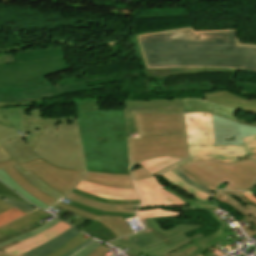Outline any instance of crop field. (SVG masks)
Instances as JSON below:
<instances>
[{
	"mask_svg": "<svg viewBox=\"0 0 256 256\" xmlns=\"http://www.w3.org/2000/svg\"><path fill=\"white\" fill-rule=\"evenodd\" d=\"M143 68L220 67L256 72V45L239 44L235 29L193 26L133 34Z\"/></svg>",
	"mask_w": 256,
	"mask_h": 256,
	"instance_id": "1",
	"label": "crop field"
},
{
	"mask_svg": "<svg viewBox=\"0 0 256 256\" xmlns=\"http://www.w3.org/2000/svg\"><path fill=\"white\" fill-rule=\"evenodd\" d=\"M88 171L130 174L123 110L77 114Z\"/></svg>",
	"mask_w": 256,
	"mask_h": 256,
	"instance_id": "2",
	"label": "crop field"
},
{
	"mask_svg": "<svg viewBox=\"0 0 256 256\" xmlns=\"http://www.w3.org/2000/svg\"><path fill=\"white\" fill-rule=\"evenodd\" d=\"M32 151L53 166L87 171L77 125L47 126Z\"/></svg>",
	"mask_w": 256,
	"mask_h": 256,
	"instance_id": "3",
	"label": "crop field"
},
{
	"mask_svg": "<svg viewBox=\"0 0 256 256\" xmlns=\"http://www.w3.org/2000/svg\"><path fill=\"white\" fill-rule=\"evenodd\" d=\"M199 181L217 188L220 183L224 189L248 191L256 187V162L252 159L230 164L216 159L189 162L182 165Z\"/></svg>",
	"mask_w": 256,
	"mask_h": 256,
	"instance_id": "4",
	"label": "crop field"
},
{
	"mask_svg": "<svg viewBox=\"0 0 256 256\" xmlns=\"http://www.w3.org/2000/svg\"><path fill=\"white\" fill-rule=\"evenodd\" d=\"M190 161L216 158L226 163L246 156L243 146H214L211 114H184Z\"/></svg>",
	"mask_w": 256,
	"mask_h": 256,
	"instance_id": "5",
	"label": "crop field"
},
{
	"mask_svg": "<svg viewBox=\"0 0 256 256\" xmlns=\"http://www.w3.org/2000/svg\"><path fill=\"white\" fill-rule=\"evenodd\" d=\"M140 220L146 229L127 237L150 256H162L168 251L189 242L191 239L202 237L199 234L188 239L183 234L200 226L178 225L163 232L153 218Z\"/></svg>",
	"mask_w": 256,
	"mask_h": 256,
	"instance_id": "6",
	"label": "crop field"
},
{
	"mask_svg": "<svg viewBox=\"0 0 256 256\" xmlns=\"http://www.w3.org/2000/svg\"><path fill=\"white\" fill-rule=\"evenodd\" d=\"M70 69L65 58H52L0 66V87H20L46 82L44 76Z\"/></svg>",
	"mask_w": 256,
	"mask_h": 256,
	"instance_id": "7",
	"label": "crop field"
},
{
	"mask_svg": "<svg viewBox=\"0 0 256 256\" xmlns=\"http://www.w3.org/2000/svg\"><path fill=\"white\" fill-rule=\"evenodd\" d=\"M131 166L140 161L170 156L189 161L186 134L128 138Z\"/></svg>",
	"mask_w": 256,
	"mask_h": 256,
	"instance_id": "8",
	"label": "crop field"
},
{
	"mask_svg": "<svg viewBox=\"0 0 256 256\" xmlns=\"http://www.w3.org/2000/svg\"><path fill=\"white\" fill-rule=\"evenodd\" d=\"M20 88H0V102H26L32 101L34 104H44L43 99L65 95L79 90H91L104 88V85L87 87V82L69 84L59 87L58 84L52 86L49 82L40 85Z\"/></svg>",
	"mask_w": 256,
	"mask_h": 256,
	"instance_id": "9",
	"label": "crop field"
},
{
	"mask_svg": "<svg viewBox=\"0 0 256 256\" xmlns=\"http://www.w3.org/2000/svg\"><path fill=\"white\" fill-rule=\"evenodd\" d=\"M20 166L25 171L31 170L46 185L65 195L81 181L85 174L84 171H72L53 167L40 158Z\"/></svg>",
	"mask_w": 256,
	"mask_h": 256,
	"instance_id": "10",
	"label": "crop field"
},
{
	"mask_svg": "<svg viewBox=\"0 0 256 256\" xmlns=\"http://www.w3.org/2000/svg\"><path fill=\"white\" fill-rule=\"evenodd\" d=\"M133 113L139 136L186 133L183 114Z\"/></svg>",
	"mask_w": 256,
	"mask_h": 256,
	"instance_id": "11",
	"label": "crop field"
},
{
	"mask_svg": "<svg viewBox=\"0 0 256 256\" xmlns=\"http://www.w3.org/2000/svg\"><path fill=\"white\" fill-rule=\"evenodd\" d=\"M20 112L24 124V133L20 137L31 150L46 125L77 124L75 115L42 117L41 110H31L30 107H26V111Z\"/></svg>",
	"mask_w": 256,
	"mask_h": 256,
	"instance_id": "12",
	"label": "crop field"
},
{
	"mask_svg": "<svg viewBox=\"0 0 256 256\" xmlns=\"http://www.w3.org/2000/svg\"><path fill=\"white\" fill-rule=\"evenodd\" d=\"M123 106L127 137L138 134L132 111L183 113L181 99L124 101Z\"/></svg>",
	"mask_w": 256,
	"mask_h": 256,
	"instance_id": "13",
	"label": "crop field"
},
{
	"mask_svg": "<svg viewBox=\"0 0 256 256\" xmlns=\"http://www.w3.org/2000/svg\"><path fill=\"white\" fill-rule=\"evenodd\" d=\"M212 123L215 145H244L242 138L256 134V127L236 124L213 114Z\"/></svg>",
	"mask_w": 256,
	"mask_h": 256,
	"instance_id": "14",
	"label": "crop field"
},
{
	"mask_svg": "<svg viewBox=\"0 0 256 256\" xmlns=\"http://www.w3.org/2000/svg\"><path fill=\"white\" fill-rule=\"evenodd\" d=\"M134 182L142 200V205L140 207L151 205H186V203L178 197L163 190L162 188H164V186L159 185L154 177H150L145 180H136Z\"/></svg>",
	"mask_w": 256,
	"mask_h": 256,
	"instance_id": "15",
	"label": "crop field"
},
{
	"mask_svg": "<svg viewBox=\"0 0 256 256\" xmlns=\"http://www.w3.org/2000/svg\"><path fill=\"white\" fill-rule=\"evenodd\" d=\"M182 103L184 113L209 112L237 123L235 116L239 110L233 109L231 107L206 101L203 98H185L182 99Z\"/></svg>",
	"mask_w": 256,
	"mask_h": 256,
	"instance_id": "16",
	"label": "crop field"
},
{
	"mask_svg": "<svg viewBox=\"0 0 256 256\" xmlns=\"http://www.w3.org/2000/svg\"><path fill=\"white\" fill-rule=\"evenodd\" d=\"M55 206L61 207L69 212L75 213L77 215L83 216L87 219H90L92 221L97 220L100 222L102 225L108 227L118 238L132 233L131 228L128 226V224L125 222L123 217H118V216H110V215H104L97 217L95 215H92L90 213H87L85 211L73 208L71 206L62 204V203H57Z\"/></svg>",
	"mask_w": 256,
	"mask_h": 256,
	"instance_id": "17",
	"label": "crop field"
},
{
	"mask_svg": "<svg viewBox=\"0 0 256 256\" xmlns=\"http://www.w3.org/2000/svg\"><path fill=\"white\" fill-rule=\"evenodd\" d=\"M72 228L71 226L67 225L64 222H59L57 225L49 229L48 231L37 235L33 238H30L28 240L22 241L16 245H13L9 248L4 249L7 253L13 254V255H21L22 253L35 248L41 244H44L56 237H58L60 234L65 232L66 230Z\"/></svg>",
	"mask_w": 256,
	"mask_h": 256,
	"instance_id": "18",
	"label": "crop field"
},
{
	"mask_svg": "<svg viewBox=\"0 0 256 256\" xmlns=\"http://www.w3.org/2000/svg\"><path fill=\"white\" fill-rule=\"evenodd\" d=\"M76 189L100 198L113 200H140L136 190L109 188L82 181Z\"/></svg>",
	"mask_w": 256,
	"mask_h": 256,
	"instance_id": "19",
	"label": "crop field"
},
{
	"mask_svg": "<svg viewBox=\"0 0 256 256\" xmlns=\"http://www.w3.org/2000/svg\"><path fill=\"white\" fill-rule=\"evenodd\" d=\"M205 99L256 114V99L239 97L227 91H212L205 94Z\"/></svg>",
	"mask_w": 256,
	"mask_h": 256,
	"instance_id": "20",
	"label": "crop field"
},
{
	"mask_svg": "<svg viewBox=\"0 0 256 256\" xmlns=\"http://www.w3.org/2000/svg\"><path fill=\"white\" fill-rule=\"evenodd\" d=\"M17 165V163L12 160V161H7V162H1L0 163V168H3L9 175L10 177L17 183L19 184L23 189H25L28 193L31 195L35 196L42 202L46 203L47 205H53L55 204L56 200L48 197L45 195L43 192L32 186L13 166Z\"/></svg>",
	"mask_w": 256,
	"mask_h": 256,
	"instance_id": "21",
	"label": "crop field"
},
{
	"mask_svg": "<svg viewBox=\"0 0 256 256\" xmlns=\"http://www.w3.org/2000/svg\"><path fill=\"white\" fill-rule=\"evenodd\" d=\"M0 146L18 163H24L38 158L17 136L11 140L0 143Z\"/></svg>",
	"mask_w": 256,
	"mask_h": 256,
	"instance_id": "22",
	"label": "crop field"
},
{
	"mask_svg": "<svg viewBox=\"0 0 256 256\" xmlns=\"http://www.w3.org/2000/svg\"><path fill=\"white\" fill-rule=\"evenodd\" d=\"M83 180L104 186L135 189L130 175H110L87 172Z\"/></svg>",
	"mask_w": 256,
	"mask_h": 256,
	"instance_id": "23",
	"label": "crop field"
},
{
	"mask_svg": "<svg viewBox=\"0 0 256 256\" xmlns=\"http://www.w3.org/2000/svg\"><path fill=\"white\" fill-rule=\"evenodd\" d=\"M65 198L71 199L73 201L88 205L90 207L103 210V211H113V212H126V213H135V210L139 206L137 205H111V204H106V203H100L96 202L84 197H81L79 195L69 193L68 195L65 196Z\"/></svg>",
	"mask_w": 256,
	"mask_h": 256,
	"instance_id": "24",
	"label": "crop field"
},
{
	"mask_svg": "<svg viewBox=\"0 0 256 256\" xmlns=\"http://www.w3.org/2000/svg\"><path fill=\"white\" fill-rule=\"evenodd\" d=\"M78 233H80L78 230L72 228L66 231L65 233H63L61 236H59L55 240L48 242L44 245H41L21 256H45L51 253L52 251H54L55 249H57L58 247H60L61 245H63L65 242L73 238Z\"/></svg>",
	"mask_w": 256,
	"mask_h": 256,
	"instance_id": "25",
	"label": "crop field"
},
{
	"mask_svg": "<svg viewBox=\"0 0 256 256\" xmlns=\"http://www.w3.org/2000/svg\"><path fill=\"white\" fill-rule=\"evenodd\" d=\"M144 71L147 75V78L178 75V74H188V73H198V72H210V71L234 72V74L236 72L234 70L220 69V68L146 69ZM234 74L231 80H233Z\"/></svg>",
	"mask_w": 256,
	"mask_h": 256,
	"instance_id": "26",
	"label": "crop field"
},
{
	"mask_svg": "<svg viewBox=\"0 0 256 256\" xmlns=\"http://www.w3.org/2000/svg\"><path fill=\"white\" fill-rule=\"evenodd\" d=\"M49 214L41 211V210H35L11 223H8L6 225L0 226V237L15 231L19 228H22L24 226H27L31 223H34L36 221H39L43 219L44 217L48 216Z\"/></svg>",
	"mask_w": 256,
	"mask_h": 256,
	"instance_id": "27",
	"label": "crop field"
},
{
	"mask_svg": "<svg viewBox=\"0 0 256 256\" xmlns=\"http://www.w3.org/2000/svg\"><path fill=\"white\" fill-rule=\"evenodd\" d=\"M0 180H2L4 183H6L8 186H10L12 189H14L16 192H18L21 196H23L25 199H27L29 202H31L33 205L46 210L50 208L46 204L42 203L35 197L28 194L26 191H24L20 186H18L9 176L8 174L3 170L0 169Z\"/></svg>",
	"mask_w": 256,
	"mask_h": 256,
	"instance_id": "28",
	"label": "crop field"
},
{
	"mask_svg": "<svg viewBox=\"0 0 256 256\" xmlns=\"http://www.w3.org/2000/svg\"><path fill=\"white\" fill-rule=\"evenodd\" d=\"M15 168L35 187L46 193L47 195L55 198L61 199L64 195L59 192L47 187L36 175H34L31 171L25 172L19 165L15 166Z\"/></svg>",
	"mask_w": 256,
	"mask_h": 256,
	"instance_id": "29",
	"label": "crop field"
},
{
	"mask_svg": "<svg viewBox=\"0 0 256 256\" xmlns=\"http://www.w3.org/2000/svg\"><path fill=\"white\" fill-rule=\"evenodd\" d=\"M182 159H176V158H169V157H162V158H155L151 160H147L144 162L139 163L143 168L150 171L152 174L161 171L179 161Z\"/></svg>",
	"mask_w": 256,
	"mask_h": 256,
	"instance_id": "30",
	"label": "crop field"
},
{
	"mask_svg": "<svg viewBox=\"0 0 256 256\" xmlns=\"http://www.w3.org/2000/svg\"><path fill=\"white\" fill-rule=\"evenodd\" d=\"M18 62L64 56L61 49L16 53Z\"/></svg>",
	"mask_w": 256,
	"mask_h": 256,
	"instance_id": "31",
	"label": "crop field"
},
{
	"mask_svg": "<svg viewBox=\"0 0 256 256\" xmlns=\"http://www.w3.org/2000/svg\"><path fill=\"white\" fill-rule=\"evenodd\" d=\"M165 178H167L169 181H171L174 185L180 187L181 189L185 190L186 192L194 195L196 198L201 200H207L212 198L211 195L204 193L202 191H199L192 186L186 184L182 180H180L178 177H176L171 171L162 174Z\"/></svg>",
	"mask_w": 256,
	"mask_h": 256,
	"instance_id": "32",
	"label": "crop field"
},
{
	"mask_svg": "<svg viewBox=\"0 0 256 256\" xmlns=\"http://www.w3.org/2000/svg\"><path fill=\"white\" fill-rule=\"evenodd\" d=\"M82 231L86 232L87 234L96 237L98 239H101L105 242L117 239L113 233L109 231L106 227L102 226L98 222H93L89 226H87L85 229Z\"/></svg>",
	"mask_w": 256,
	"mask_h": 256,
	"instance_id": "33",
	"label": "crop field"
},
{
	"mask_svg": "<svg viewBox=\"0 0 256 256\" xmlns=\"http://www.w3.org/2000/svg\"><path fill=\"white\" fill-rule=\"evenodd\" d=\"M19 110H25V108L10 107L9 109H0V112L8 119L17 131L23 133V125Z\"/></svg>",
	"mask_w": 256,
	"mask_h": 256,
	"instance_id": "34",
	"label": "crop field"
},
{
	"mask_svg": "<svg viewBox=\"0 0 256 256\" xmlns=\"http://www.w3.org/2000/svg\"><path fill=\"white\" fill-rule=\"evenodd\" d=\"M60 220H58V219H53V220H51L50 222H48L47 224H45V225H43V226H41V227H39V228H36V229H34V230H32V231H30V232H28V233H25V234H22V235H20V236H17V237H15V238H12V239H10V240H8V241H5V242H3V243H1L0 244V247L1 246H3V245H5V244H8V243H10V242H13V241H15V240H17V241H22V240H25V239H27V238H30V237H33V236H35V235H37V234H40V233H42V232H44V231H46V230H48L49 228H51L52 226H54L56 223H58Z\"/></svg>",
	"mask_w": 256,
	"mask_h": 256,
	"instance_id": "35",
	"label": "crop field"
},
{
	"mask_svg": "<svg viewBox=\"0 0 256 256\" xmlns=\"http://www.w3.org/2000/svg\"><path fill=\"white\" fill-rule=\"evenodd\" d=\"M83 235L84 234L82 233L78 234L76 237H74L66 244H64L63 246H61L60 248H58L57 250H55L54 252L47 256H63L64 254H66L67 252H69L70 250H72L73 248H75L76 246H78L79 244L88 239L83 238Z\"/></svg>",
	"mask_w": 256,
	"mask_h": 256,
	"instance_id": "36",
	"label": "crop field"
},
{
	"mask_svg": "<svg viewBox=\"0 0 256 256\" xmlns=\"http://www.w3.org/2000/svg\"><path fill=\"white\" fill-rule=\"evenodd\" d=\"M73 103L77 106V113L91 111V110H100L98 97L95 99L85 98L83 100H73Z\"/></svg>",
	"mask_w": 256,
	"mask_h": 256,
	"instance_id": "37",
	"label": "crop field"
},
{
	"mask_svg": "<svg viewBox=\"0 0 256 256\" xmlns=\"http://www.w3.org/2000/svg\"><path fill=\"white\" fill-rule=\"evenodd\" d=\"M65 204H67V203H65ZM68 205H71V206H74V207H76V208L85 210V211L90 212V213H92V214H95V215H97V216L104 215V214H110V215L123 216L124 219L132 218V217H135V216H136L135 214L103 212V211H99V210L90 208V207H88V206H85V205H82V204H79V203H76V202H73V201H70V203H69Z\"/></svg>",
	"mask_w": 256,
	"mask_h": 256,
	"instance_id": "38",
	"label": "crop field"
},
{
	"mask_svg": "<svg viewBox=\"0 0 256 256\" xmlns=\"http://www.w3.org/2000/svg\"><path fill=\"white\" fill-rule=\"evenodd\" d=\"M182 213L164 211L162 209L148 210V211H137L138 218L143 217H163V216H177L181 217Z\"/></svg>",
	"mask_w": 256,
	"mask_h": 256,
	"instance_id": "39",
	"label": "crop field"
},
{
	"mask_svg": "<svg viewBox=\"0 0 256 256\" xmlns=\"http://www.w3.org/2000/svg\"><path fill=\"white\" fill-rule=\"evenodd\" d=\"M199 249L196 247L192 242H189L164 256H190L189 254L194 252L195 250Z\"/></svg>",
	"mask_w": 256,
	"mask_h": 256,
	"instance_id": "40",
	"label": "crop field"
},
{
	"mask_svg": "<svg viewBox=\"0 0 256 256\" xmlns=\"http://www.w3.org/2000/svg\"><path fill=\"white\" fill-rule=\"evenodd\" d=\"M24 214H26V213H24L16 208H12V209L0 214V225L6 224Z\"/></svg>",
	"mask_w": 256,
	"mask_h": 256,
	"instance_id": "41",
	"label": "crop field"
},
{
	"mask_svg": "<svg viewBox=\"0 0 256 256\" xmlns=\"http://www.w3.org/2000/svg\"><path fill=\"white\" fill-rule=\"evenodd\" d=\"M72 192H74L76 194H79L81 196L96 200V201L112 203V204H137V203H140V201H112V200L100 199V198H96L94 196H91L89 194H86L84 192L78 191L76 189H73Z\"/></svg>",
	"mask_w": 256,
	"mask_h": 256,
	"instance_id": "42",
	"label": "crop field"
},
{
	"mask_svg": "<svg viewBox=\"0 0 256 256\" xmlns=\"http://www.w3.org/2000/svg\"><path fill=\"white\" fill-rule=\"evenodd\" d=\"M234 209L237 210L242 215H244L245 218H247L253 225L256 226V212L241 204Z\"/></svg>",
	"mask_w": 256,
	"mask_h": 256,
	"instance_id": "43",
	"label": "crop field"
},
{
	"mask_svg": "<svg viewBox=\"0 0 256 256\" xmlns=\"http://www.w3.org/2000/svg\"><path fill=\"white\" fill-rule=\"evenodd\" d=\"M172 172L177 175L180 179H182L183 181H185L186 183L202 190V191H205L207 193H210L212 194L213 193V190H210V189H207V188H204L202 187L201 185L195 183L194 181L190 180L184 173H182L180 170H178L177 168L172 170Z\"/></svg>",
	"mask_w": 256,
	"mask_h": 256,
	"instance_id": "44",
	"label": "crop field"
},
{
	"mask_svg": "<svg viewBox=\"0 0 256 256\" xmlns=\"http://www.w3.org/2000/svg\"><path fill=\"white\" fill-rule=\"evenodd\" d=\"M17 135H19V133L13 127L8 128L0 124V142L13 138Z\"/></svg>",
	"mask_w": 256,
	"mask_h": 256,
	"instance_id": "45",
	"label": "crop field"
},
{
	"mask_svg": "<svg viewBox=\"0 0 256 256\" xmlns=\"http://www.w3.org/2000/svg\"><path fill=\"white\" fill-rule=\"evenodd\" d=\"M109 244H112L114 246H117V245L121 244L124 247H127L128 249H130V252H132L135 255L142 252L138 248H136L137 246L135 247L126 237L121 238V239L116 240V241H113V242H110Z\"/></svg>",
	"mask_w": 256,
	"mask_h": 256,
	"instance_id": "46",
	"label": "crop field"
},
{
	"mask_svg": "<svg viewBox=\"0 0 256 256\" xmlns=\"http://www.w3.org/2000/svg\"><path fill=\"white\" fill-rule=\"evenodd\" d=\"M184 163H187V161L184 160V161H182V162H180V163H178V164H176V165H174V166H172V167H170V168H168V169H165V170H163V171H161V172H158V173L154 174V176H155V175L162 174V173H164V172H167V171H169V170H171V169L177 167V168L180 169L182 172H184L190 179H192V180L198 182L199 184H201V185H203V186H205V187H207V188L216 190V189H214V188H212V187H210V186H208V185H205V184L199 182V181L196 180L193 176H191L185 169H183V168L180 166V165H182V164H184Z\"/></svg>",
	"mask_w": 256,
	"mask_h": 256,
	"instance_id": "47",
	"label": "crop field"
},
{
	"mask_svg": "<svg viewBox=\"0 0 256 256\" xmlns=\"http://www.w3.org/2000/svg\"><path fill=\"white\" fill-rule=\"evenodd\" d=\"M243 140H244V144L247 149L248 155L255 154L256 153V135L249 138H245Z\"/></svg>",
	"mask_w": 256,
	"mask_h": 256,
	"instance_id": "48",
	"label": "crop field"
},
{
	"mask_svg": "<svg viewBox=\"0 0 256 256\" xmlns=\"http://www.w3.org/2000/svg\"><path fill=\"white\" fill-rule=\"evenodd\" d=\"M33 105L31 102H26V103H10V104H6V103H0V108H5V107H9V106H30ZM0 123H3L9 127H11L12 125L4 118V116L0 113Z\"/></svg>",
	"mask_w": 256,
	"mask_h": 256,
	"instance_id": "49",
	"label": "crop field"
},
{
	"mask_svg": "<svg viewBox=\"0 0 256 256\" xmlns=\"http://www.w3.org/2000/svg\"><path fill=\"white\" fill-rule=\"evenodd\" d=\"M97 242L98 241L92 242L74 256H88L91 252H93L96 248L100 246V244H98Z\"/></svg>",
	"mask_w": 256,
	"mask_h": 256,
	"instance_id": "50",
	"label": "crop field"
},
{
	"mask_svg": "<svg viewBox=\"0 0 256 256\" xmlns=\"http://www.w3.org/2000/svg\"><path fill=\"white\" fill-rule=\"evenodd\" d=\"M2 200H4L5 202H7V203H9V204H11V205H13V206H15V207L25 211V212H31L32 210H34V208L29 207L27 205H24V204H22L20 202H17L15 200H11V199H2Z\"/></svg>",
	"mask_w": 256,
	"mask_h": 256,
	"instance_id": "51",
	"label": "crop field"
},
{
	"mask_svg": "<svg viewBox=\"0 0 256 256\" xmlns=\"http://www.w3.org/2000/svg\"><path fill=\"white\" fill-rule=\"evenodd\" d=\"M134 180L135 179H139V178H144V177H148V176H152V174L148 171H146L145 169L141 168L135 171L131 172Z\"/></svg>",
	"mask_w": 256,
	"mask_h": 256,
	"instance_id": "52",
	"label": "crop field"
},
{
	"mask_svg": "<svg viewBox=\"0 0 256 256\" xmlns=\"http://www.w3.org/2000/svg\"><path fill=\"white\" fill-rule=\"evenodd\" d=\"M108 251H109L108 248L101 245L98 249H96L89 256H105Z\"/></svg>",
	"mask_w": 256,
	"mask_h": 256,
	"instance_id": "53",
	"label": "crop field"
},
{
	"mask_svg": "<svg viewBox=\"0 0 256 256\" xmlns=\"http://www.w3.org/2000/svg\"><path fill=\"white\" fill-rule=\"evenodd\" d=\"M0 193L1 194H5V195H12V196H14V197H16V198H18V199H21V200H23L22 198H20L19 196H17L15 193H13L12 191H10L8 188H6L4 185H2L1 183H0Z\"/></svg>",
	"mask_w": 256,
	"mask_h": 256,
	"instance_id": "54",
	"label": "crop field"
},
{
	"mask_svg": "<svg viewBox=\"0 0 256 256\" xmlns=\"http://www.w3.org/2000/svg\"><path fill=\"white\" fill-rule=\"evenodd\" d=\"M93 240V238L88 239L87 241H85L84 243H82L81 245H79L78 247H76L75 249H73L72 251H70L69 253H67L64 256H70L73 253H75L76 251H78L79 249H81L82 247H84L86 244H88L89 242H91Z\"/></svg>",
	"mask_w": 256,
	"mask_h": 256,
	"instance_id": "55",
	"label": "crop field"
},
{
	"mask_svg": "<svg viewBox=\"0 0 256 256\" xmlns=\"http://www.w3.org/2000/svg\"><path fill=\"white\" fill-rule=\"evenodd\" d=\"M12 158L0 147V161L11 160Z\"/></svg>",
	"mask_w": 256,
	"mask_h": 256,
	"instance_id": "56",
	"label": "crop field"
},
{
	"mask_svg": "<svg viewBox=\"0 0 256 256\" xmlns=\"http://www.w3.org/2000/svg\"><path fill=\"white\" fill-rule=\"evenodd\" d=\"M237 121H238V123H240V124H246V125L256 126V122H250V121H248V120H244V119L239 118V117H237Z\"/></svg>",
	"mask_w": 256,
	"mask_h": 256,
	"instance_id": "57",
	"label": "crop field"
},
{
	"mask_svg": "<svg viewBox=\"0 0 256 256\" xmlns=\"http://www.w3.org/2000/svg\"><path fill=\"white\" fill-rule=\"evenodd\" d=\"M242 196L246 197L250 202H252L256 206V197L249 193H245Z\"/></svg>",
	"mask_w": 256,
	"mask_h": 256,
	"instance_id": "58",
	"label": "crop field"
},
{
	"mask_svg": "<svg viewBox=\"0 0 256 256\" xmlns=\"http://www.w3.org/2000/svg\"><path fill=\"white\" fill-rule=\"evenodd\" d=\"M4 203H5V202H4ZM4 203L0 201V213H2V212H4V211H6V210L12 208V207L6 205L7 203H6V204H4Z\"/></svg>",
	"mask_w": 256,
	"mask_h": 256,
	"instance_id": "59",
	"label": "crop field"
},
{
	"mask_svg": "<svg viewBox=\"0 0 256 256\" xmlns=\"http://www.w3.org/2000/svg\"><path fill=\"white\" fill-rule=\"evenodd\" d=\"M243 230L245 231V233L248 235V237L253 236L255 233L251 230V228L249 226L247 227H243Z\"/></svg>",
	"mask_w": 256,
	"mask_h": 256,
	"instance_id": "60",
	"label": "crop field"
},
{
	"mask_svg": "<svg viewBox=\"0 0 256 256\" xmlns=\"http://www.w3.org/2000/svg\"><path fill=\"white\" fill-rule=\"evenodd\" d=\"M87 219H84V218H79V219H77L76 221H74L73 223H72V225H74V226H79L80 224H82L83 222H85Z\"/></svg>",
	"mask_w": 256,
	"mask_h": 256,
	"instance_id": "61",
	"label": "crop field"
},
{
	"mask_svg": "<svg viewBox=\"0 0 256 256\" xmlns=\"http://www.w3.org/2000/svg\"><path fill=\"white\" fill-rule=\"evenodd\" d=\"M16 243H18V242L15 241V242H13V243H10V244H8V245H6V246L0 248V252L6 253V252H4L2 249L6 248V247H9V246H11V245H13V244H16Z\"/></svg>",
	"mask_w": 256,
	"mask_h": 256,
	"instance_id": "62",
	"label": "crop field"
},
{
	"mask_svg": "<svg viewBox=\"0 0 256 256\" xmlns=\"http://www.w3.org/2000/svg\"><path fill=\"white\" fill-rule=\"evenodd\" d=\"M246 206H248V207L251 208L252 210L256 211V207H255L253 204L246 205Z\"/></svg>",
	"mask_w": 256,
	"mask_h": 256,
	"instance_id": "63",
	"label": "crop field"
},
{
	"mask_svg": "<svg viewBox=\"0 0 256 256\" xmlns=\"http://www.w3.org/2000/svg\"><path fill=\"white\" fill-rule=\"evenodd\" d=\"M249 192L253 193V194H256V188L250 190Z\"/></svg>",
	"mask_w": 256,
	"mask_h": 256,
	"instance_id": "64",
	"label": "crop field"
},
{
	"mask_svg": "<svg viewBox=\"0 0 256 256\" xmlns=\"http://www.w3.org/2000/svg\"><path fill=\"white\" fill-rule=\"evenodd\" d=\"M251 158L256 160V155H251Z\"/></svg>",
	"mask_w": 256,
	"mask_h": 256,
	"instance_id": "65",
	"label": "crop field"
},
{
	"mask_svg": "<svg viewBox=\"0 0 256 256\" xmlns=\"http://www.w3.org/2000/svg\"><path fill=\"white\" fill-rule=\"evenodd\" d=\"M0 256H9V255H5V254H1V253H0Z\"/></svg>",
	"mask_w": 256,
	"mask_h": 256,
	"instance_id": "66",
	"label": "crop field"
}]
</instances>
